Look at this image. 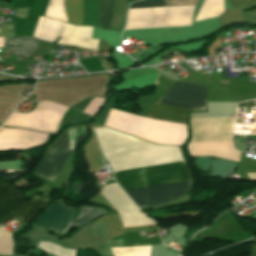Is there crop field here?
<instances>
[{
	"instance_id": "1",
	"label": "crop field",
	"mask_w": 256,
	"mask_h": 256,
	"mask_svg": "<svg viewBox=\"0 0 256 256\" xmlns=\"http://www.w3.org/2000/svg\"><path fill=\"white\" fill-rule=\"evenodd\" d=\"M116 182L124 191L187 181L184 162L114 172ZM190 181L128 191L139 208L166 203L190 189Z\"/></svg>"
},
{
	"instance_id": "2",
	"label": "crop field",
	"mask_w": 256,
	"mask_h": 256,
	"mask_svg": "<svg viewBox=\"0 0 256 256\" xmlns=\"http://www.w3.org/2000/svg\"><path fill=\"white\" fill-rule=\"evenodd\" d=\"M70 108L53 102L41 101L28 114L13 112L3 125L54 133ZM0 127V150L31 148L44 142L46 134L26 129Z\"/></svg>"
},
{
	"instance_id": "3",
	"label": "crop field",
	"mask_w": 256,
	"mask_h": 256,
	"mask_svg": "<svg viewBox=\"0 0 256 256\" xmlns=\"http://www.w3.org/2000/svg\"><path fill=\"white\" fill-rule=\"evenodd\" d=\"M105 126L160 144L182 145L187 138L186 125L143 118L114 109Z\"/></svg>"
},
{
	"instance_id": "4",
	"label": "crop field",
	"mask_w": 256,
	"mask_h": 256,
	"mask_svg": "<svg viewBox=\"0 0 256 256\" xmlns=\"http://www.w3.org/2000/svg\"><path fill=\"white\" fill-rule=\"evenodd\" d=\"M207 86L175 82L159 100V104L189 111L204 110ZM156 104L148 117L184 124L185 110Z\"/></svg>"
},
{
	"instance_id": "5",
	"label": "crop field",
	"mask_w": 256,
	"mask_h": 256,
	"mask_svg": "<svg viewBox=\"0 0 256 256\" xmlns=\"http://www.w3.org/2000/svg\"><path fill=\"white\" fill-rule=\"evenodd\" d=\"M46 202L47 199L36 195L26 202L22 193L12 185L0 182V224L18 218L21 223H28Z\"/></svg>"
},
{
	"instance_id": "6",
	"label": "crop field",
	"mask_w": 256,
	"mask_h": 256,
	"mask_svg": "<svg viewBox=\"0 0 256 256\" xmlns=\"http://www.w3.org/2000/svg\"><path fill=\"white\" fill-rule=\"evenodd\" d=\"M72 211L73 208L66 207L62 205L61 202L56 201L48 206L43 215L32 225L42 226L58 234L65 229L72 215ZM102 214H107V212L96 208L82 206L81 214L75 220H71L67 229L61 234L67 233L77 226L88 223Z\"/></svg>"
},
{
	"instance_id": "7",
	"label": "crop field",
	"mask_w": 256,
	"mask_h": 256,
	"mask_svg": "<svg viewBox=\"0 0 256 256\" xmlns=\"http://www.w3.org/2000/svg\"><path fill=\"white\" fill-rule=\"evenodd\" d=\"M234 118H190L192 142H232Z\"/></svg>"
},
{
	"instance_id": "8",
	"label": "crop field",
	"mask_w": 256,
	"mask_h": 256,
	"mask_svg": "<svg viewBox=\"0 0 256 256\" xmlns=\"http://www.w3.org/2000/svg\"><path fill=\"white\" fill-rule=\"evenodd\" d=\"M79 141L62 136L50 149L35 174L53 182L61 167Z\"/></svg>"
},
{
	"instance_id": "9",
	"label": "crop field",
	"mask_w": 256,
	"mask_h": 256,
	"mask_svg": "<svg viewBox=\"0 0 256 256\" xmlns=\"http://www.w3.org/2000/svg\"><path fill=\"white\" fill-rule=\"evenodd\" d=\"M83 0H64L67 20L70 23L82 25ZM113 0H100L98 26L110 29Z\"/></svg>"
},
{
	"instance_id": "10",
	"label": "crop field",
	"mask_w": 256,
	"mask_h": 256,
	"mask_svg": "<svg viewBox=\"0 0 256 256\" xmlns=\"http://www.w3.org/2000/svg\"><path fill=\"white\" fill-rule=\"evenodd\" d=\"M187 148L191 156H214L239 162L240 152L232 143H190Z\"/></svg>"
},
{
	"instance_id": "11",
	"label": "crop field",
	"mask_w": 256,
	"mask_h": 256,
	"mask_svg": "<svg viewBox=\"0 0 256 256\" xmlns=\"http://www.w3.org/2000/svg\"><path fill=\"white\" fill-rule=\"evenodd\" d=\"M39 45V40L32 37L5 38L3 52H15L18 61L30 56Z\"/></svg>"
},
{
	"instance_id": "12",
	"label": "crop field",
	"mask_w": 256,
	"mask_h": 256,
	"mask_svg": "<svg viewBox=\"0 0 256 256\" xmlns=\"http://www.w3.org/2000/svg\"><path fill=\"white\" fill-rule=\"evenodd\" d=\"M151 246L111 248L114 256H150Z\"/></svg>"
},
{
	"instance_id": "13",
	"label": "crop field",
	"mask_w": 256,
	"mask_h": 256,
	"mask_svg": "<svg viewBox=\"0 0 256 256\" xmlns=\"http://www.w3.org/2000/svg\"><path fill=\"white\" fill-rule=\"evenodd\" d=\"M36 159H26L24 160V170L18 171V170H5L0 169V178H4L7 180H13L17 177H20L26 173L29 172L31 167L33 166Z\"/></svg>"
},
{
	"instance_id": "14",
	"label": "crop field",
	"mask_w": 256,
	"mask_h": 256,
	"mask_svg": "<svg viewBox=\"0 0 256 256\" xmlns=\"http://www.w3.org/2000/svg\"><path fill=\"white\" fill-rule=\"evenodd\" d=\"M39 247L56 256H75L76 250L63 249L55 244L48 242H40Z\"/></svg>"
},
{
	"instance_id": "15",
	"label": "crop field",
	"mask_w": 256,
	"mask_h": 256,
	"mask_svg": "<svg viewBox=\"0 0 256 256\" xmlns=\"http://www.w3.org/2000/svg\"><path fill=\"white\" fill-rule=\"evenodd\" d=\"M12 253V239L11 233L0 229V254L11 255Z\"/></svg>"
},
{
	"instance_id": "16",
	"label": "crop field",
	"mask_w": 256,
	"mask_h": 256,
	"mask_svg": "<svg viewBox=\"0 0 256 256\" xmlns=\"http://www.w3.org/2000/svg\"><path fill=\"white\" fill-rule=\"evenodd\" d=\"M157 6H166L164 0H148V1H138L130 5L129 8H138V7H157Z\"/></svg>"
},
{
	"instance_id": "17",
	"label": "crop field",
	"mask_w": 256,
	"mask_h": 256,
	"mask_svg": "<svg viewBox=\"0 0 256 256\" xmlns=\"http://www.w3.org/2000/svg\"><path fill=\"white\" fill-rule=\"evenodd\" d=\"M104 99L96 97L94 101L87 107L84 113L89 114L91 116L99 109Z\"/></svg>"
},
{
	"instance_id": "18",
	"label": "crop field",
	"mask_w": 256,
	"mask_h": 256,
	"mask_svg": "<svg viewBox=\"0 0 256 256\" xmlns=\"http://www.w3.org/2000/svg\"><path fill=\"white\" fill-rule=\"evenodd\" d=\"M249 179H256V173L253 174H247Z\"/></svg>"
}]
</instances>
